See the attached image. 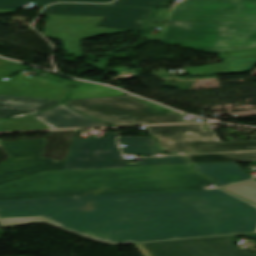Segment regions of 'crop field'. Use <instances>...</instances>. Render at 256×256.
I'll return each instance as SVG.
<instances>
[{"label": "crop field", "mask_w": 256, "mask_h": 256, "mask_svg": "<svg viewBox=\"0 0 256 256\" xmlns=\"http://www.w3.org/2000/svg\"><path fill=\"white\" fill-rule=\"evenodd\" d=\"M40 17H46L44 35L63 40V50L75 57H81V39L125 32L95 28L102 17L68 15H41Z\"/></svg>", "instance_id": "8"}, {"label": "crop field", "mask_w": 256, "mask_h": 256, "mask_svg": "<svg viewBox=\"0 0 256 256\" xmlns=\"http://www.w3.org/2000/svg\"><path fill=\"white\" fill-rule=\"evenodd\" d=\"M126 95L116 89L107 88L102 85L85 83L78 87H74L68 99L88 98V97H104V96H120Z\"/></svg>", "instance_id": "18"}, {"label": "crop field", "mask_w": 256, "mask_h": 256, "mask_svg": "<svg viewBox=\"0 0 256 256\" xmlns=\"http://www.w3.org/2000/svg\"><path fill=\"white\" fill-rule=\"evenodd\" d=\"M231 23L169 21L163 41L216 53Z\"/></svg>", "instance_id": "9"}, {"label": "crop field", "mask_w": 256, "mask_h": 256, "mask_svg": "<svg viewBox=\"0 0 256 256\" xmlns=\"http://www.w3.org/2000/svg\"><path fill=\"white\" fill-rule=\"evenodd\" d=\"M118 144L126 145L121 148L124 154L156 156L163 153L151 137H119Z\"/></svg>", "instance_id": "16"}, {"label": "crop field", "mask_w": 256, "mask_h": 256, "mask_svg": "<svg viewBox=\"0 0 256 256\" xmlns=\"http://www.w3.org/2000/svg\"><path fill=\"white\" fill-rule=\"evenodd\" d=\"M158 139L159 147L168 153H209L256 150V141L222 143L214 130L203 124H184L146 127Z\"/></svg>", "instance_id": "5"}, {"label": "crop field", "mask_w": 256, "mask_h": 256, "mask_svg": "<svg viewBox=\"0 0 256 256\" xmlns=\"http://www.w3.org/2000/svg\"><path fill=\"white\" fill-rule=\"evenodd\" d=\"M248 237H250V238H256V234H251V235H249Z\"/></svg>", "instance_id": "27"}, {"label": "crop field", "mask_w": 256, "mask_h": 256, "mask_svg": "<svg viewBox=\"0 0 256 256\" xmlns=\"http://www.w3.org/2000/svg\"><path fill=\"white\" fill-rule=\"evenodd\" d=\"M68 107L116 126L183 123L180 113L158 112L130 96L74 99Z\"/></svg>", "instance_id": "4"}, {"label": "crop field", "mask_w": 256, "mask_h": 256, "mask_svg": "<svg viewBox=\"0 0 256 256\" xmlns=\"http://www.w3.org/2000/svg\"><path fill=\"white\" fill-rule=\"evenodd\" d=\"M51 129L35 117L11 120L0 125L1 131Z\"/></svg>", "instance_id": "19"}, {"label": "crop field", "mask_w": 256, "mask_h": 256, "mask_svg": "<svg viewBox=\"0 0 256 256\" xmlns=\"http://www.w3.org/2000/svg\"><path fill=\"white\" fill-rule=\"evenodd\" d=\"M164 33H159V35L155 34H145L143 35L145 38L153 39V40H158L162 41Z\"/></svg>", "instance_id": "24"}, {"label": "crop field", "mask_w": 256, "mask_h": 256, "mask_svg": "<svg viewBox=\"0 0 256 256\" xmlns=\"http://www.w3.org/2000/svg\"><path fill=\"white\" fill-rule=\"evenodd\" d=\"M55 1L56 0H0V14L13 13L20 6L28 2H33L45 6Z\"/></svg>", "instance_id": "21"}, {"label": "crop field", "mask_w": 256, "mask_h": 256, "mask_svg": "<svg viewBox=\"0 0 256 256\" xmlns=\"http://www.w3.org/2000/svg\"><path fill=\"white\" fill-rule=\"evenodd\" d=\"M77 130L71 131H50L41 156L46 159H54L56 161L66 160L68 151ZM40 139V138H30ZM11 140H28V139H11ZM11 140H0V141H11Z\"/></svg>", "instance_id": "15"}, {"label": "crop field", "mask_w": 256, "mask_h": 256, "mask_svg": "<svg viewBox=\"0 0 256 256\" xmlns=\"http://www.w3.org/2000/svg\"><path fill=\"white\" fill-rule=\"evenodd\" d=\"M5 120H7V119H1V118H0V123L3 122V121H5Z\"/></svg>", "instance_id": "28"}, {"label": "crop field", "mask_w": 256, "mask_h": 256, "mask_svg": "<svg viewBox=\"0 0 256 256\" xmlns=\"http://www.w3.org/2000/svg\"><path fill=\"white\" fill-rule=\"evenodd\" d=\"M163 1L165 0H118L112 5L154 8L156 5L160 4Z\"/></svg>", "instance_id": "22"}, {"label": "crop field", "mask_w": 256, "mask_h": 256, "mask_svg": "<svg viewBox=\"0 0 256 256\" xmlns=\"http://www.w3.org/2000/svg\"><path fill=\"white\" fill-rule=\"evenodd\" d=\"M153 20L233 22L217 53L256 49V0H184Z\"/></svg>", "instance_id": "3"}, {"label": "crop field", "mask_w": 256, "mask_h": 256, "mask_svg": "<svg viewBox=\"0 0 256 256\" xmlns=\"http://www.w3.org/2000/svg\"><path fill=\"white\" fill-rule=\"evenodd\" d=\"M36 117L53 129L108 126L82 115L63 104Z\"/></svg>", "instance_id": "13"}, {"label": "crop field", "mask_w": 256, "mask_h": 256, "mask_svg": "<svg viewBox=\"0 0 256 256\" xmlns=\"http://www.w3.org/2000/svg\"><path fill=\"white\" fill-rule=\"evenodd\" d=\"M190 165L55 171L0 186V227L47 223L109 245L256 233V206Z\"/></svg>", "instance_id": "1"}, {"label": "crop field", "mask_w": 256, "mask_h": 256, "mask_svg": "<svg viewBox=\"0 0 256 256\" xmlns=\"http://www.w3.org/2000/svg\"><path fill=\"white\" fill-rule=\"evenodd\" d=\"M222 63L187 67L190 76L247 72L256 65V50L219 54Z\"/></svg>", "instance_id": "11"}, {"label": "crop field", "mask_w": 256, "mask_h": 256, "mask_svg": "<svg viewBox=\"0 0 256 256\" xmlns=\"http://www.w3.org/2000/svg\"><path fill=\"white\" fill-rule=\"evenodd\" d=\"M62 101L0 95V117L17 118L42 112Z\"/></svg>", "instance_id": "12"}, {"label": "crop field", "mask_w": 256, "mask_h": 256, "mask_svg": "<svg viewBox=\"0 0 256 256\" xmlns=\"http://www.w3.org/2000/svg\"><path fill=\"white\" fill-rule=\"evenodd\" d=\"M249 235V234H246ZM191 239L161 243L137 244L144 256H256L231 244L232 237Z\"/></svg>", "instance_id": "7"}, {"label": "crop field", "mask_w": 256, "mask_h": 256, "mask_svg": "<svg viewBox=\"0 0 256 256\" xmlns=\"http://www.w3.org/2000/svg\"><path fill=\"white\" fill-rule=\"evenodd\" d=\"M194 168L201 174L214 178L220 186L251 178L234 162L198 164Z\"/></svg>", "instance_id": "14"}, {"label": "crop field", "mask_w": 256, "mask_h": 256, "mask_svg": "<svg viewBox=\"0 0 256 256\" xmlns=\"http://www.w3.org/2000/svg\"><path fill=\"white\" fill-rule=\"evenodd\" d=\"M224 188L256 203V179Z\"/></svg>", "instance_id": "20"}, {"label": "crop field", "mask_w": 256, "mask_h": 256, "mask_svg": "<svg viewBox=\"0 0 256 256\" xmlns=\"http://www.w3.org/2000/svg\"><path fill=\"white\" fill-rule=\"evenodd\" d=\"M155 9L132 8L96 4H55L46 7L42 14H69L102 16L96 27L138 30L146 29L142 21L151 18Z\"/></svg>", "instance_id": "6"}, {"label": "crop field", "mask_w": 256, "mask_h": 256, "mask_svg": "<svg viewBox=\"0 0 256 256\" xmlns=\"http://www.w3.org/2000/svg\"><path fill=\"white\" fill-rule=\"evenodd\" d=\"M187 157L192 164L223 162V161H248L256 160V152L219 153L205 155L182 156Z\"/></svg>", "instance_id": "17"}, {"label": "crop field", "mask_w": 256, "mask_h": 256, "mask_svg": "<svg viewBox=\"0 0 256 256\" xmlns=\"http://www.w3.org/2000/svg\"><path fill=\"white\" fill-rule=\"evenodd\" d=\"M78 131L67 161L56 163L39 158L46 139L1 142L12 157L0 164V185L54 170L189 164L185 158L171 156L143 158L136 165H125L115 143L118 133H107L105 138L76 139Z\"/></svg>", "instance_id": "2"}, {"label": "crop field", "mask_w": 256, "mask_h": 256, "mask_svg": "<svg viewBox=\"0 0 256 256\" xmlns=\"http://www.w3.org/2000/svg\"><path fill=\"white\" fill-rule=\"evenodd\" d=\"M30 68L31 67L0 58V78L10 76L18 71ZM67 92V90L23 78L21 76H13L8 81L0 80V93L3 94L64 99Z\"/></svg>", "instance_id": "10"}, {"label": "crop field", "mask_w": 256, "mask_h": 256, "mask_svg": "<svg viewBox=\"0 0 256 256\" xmlns=\"http://www.w3.org/2000/svg\"><path fill=\"white\" fill-rule=\"evenodd\" d=\"M151 21H152V20H147V21H145V22L148 23V24L150 25V27H162V28H163L162 31H164L165 25L153 24Z\"/></svg>", "instance_id": "26"}, {"label": "crop field", "mask_w": 256, "mask_h": 256, "mask_svg": "<svg viewBox=\"0 0 256 256\" xmlns=\"http://www.w3.org/2000/svg\"><path fill=\"white\" fill-rule=\"evenodd\" d=\"M11 157L4 147L0 144V163Z\"/></svg>", "instance_id": "23"}, {"label": "crop field", "mask_w": 256, "mask_h": 256, "mask_svg": "<svg viewBox=\"0 0 256 256\" xmlns=\"http://www.w3.org/2000/svg\"><path fill=\"white\" fill-rule=\"evenodd\" d=\"M57 1L110 2L112 0H57Z\"/></svg>", "instance_id": "25"}]
</instances>
